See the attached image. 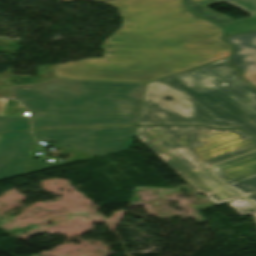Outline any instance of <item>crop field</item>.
I'll return each instance as SVG.
<instances>
[{"instance_id": "obj_7", "label": "crop field", "mask_w": 256, "mask_h": 256, "mask_svg": "<svg viewBox=\"0 0 256 256\" xmlns=\"http://www.w3.org/2000/svg\"><path fill=\"white\" fill-rule=\"evenodd\" d=\"M222 1L251 14L252 17L233 20L206 6ZM186 4L195 13L223 25L227 30L226 35L256 30V0H186Z\"/></svg>"}, {"instance_id": "obj_10", "label": "crop field", "mask_w": 256, "mask_h": 256, "mask_svg": "<svg viewBox=\"0 0 256 256\" xmlns=\"http://www.w3.org/2000/svg\"><path fill=\"white\" fill-rule=\"evenodd\" d=\"M14 99L8 100L4 116H0V132L7 130H27L29 128L28 113L19 107Z\"/></svg>"}, {"instance_id": "obj_9", "label": "crop field", "mask_w": 256, "mask_h": 256, "mask_svg": "<svg viewBox=\"0 0 256 256\" xmlns=\"http://www.w3.org/2000/svg\"><path fill=\"white\" fill-rule=\"evenodd\" d=\"M224 39L236 47L232 59L233 63L243 72L256 70V32L225 37Z\"/></svg>"}, {"instance_id": "obj_4", "label": "crop field", "mask_w": 256, "mask_h": 256, "mask_svg": "<svg viewBox=\"0 0 256 256\" xmlns=\"http://www.w3.org/2000/svg\"><path fill=\"white\" fill-rule=\"evenodd\" d=\"M135 137L214 205L241 197L215 178L208 166L255 150L256 138L240 129L204 126H137Z\"/></svg>"}, {"instance_id": "obj_5", "label": "crop field", "mask_w": 256, "mask_h": 256, "mask_svg": "<svg viewBox=\"0 0 256 256\" xmlns=\"http://www.w3.org/2000/svg\"><path fill=\"white\" fill-rule=\"evenodd\" d=\"M136 127H104L93 129H61L33 131L37 140H46L83 150L92 156H103L132 146Z\"/></svg>"}, {"instance_id": "obj_15", "label": "crop field", "mask_w": 256, "mask_h": 256, "mask_svg": "<svg viewBox=\"0 0 256 256\" xmlns=\"http://www.w3.org/2000/svg\"><path fill=\"white\" fill-rule=\"evenodd\" d=\"M251 202H253L256 205V194L246 197Z\"/></svg>"}, {"instance_id": "obj_3", "label": "crop field", "mask_w": 256, "mask_h": 256, "mask_svg": "<svg viewBox=\"0 0 256 256\" xmlns=\"http://www.w3.org/2000/svg\"><path fill=\"white\" fill-rule=\"evenodd\" d=\"M146 84L50 79L10 86L31 112L33 129L137 124Z\"/></svg>"}, {"instance_id": "obj_12", "label": "crop field", "mask_w": 256, "mask_h": 256, "mask_svg": "<svg viewBox=\"0 0 256 256\" xmlns=\"http://www.w3.org/2000/svg\"><path fill=\"white\" fill-rule=\"evenodd\" d=\"M228 204L240 215H253V221L256 222V207L252 204H250L247 200H245L243 197L233 200L231 202H228ZM249 210L254 211V213H250Z\"/></svg>"}, {"instance_id": "obj_13", "label": "crop field", "mask_w": 256, "mask_h": 256, "mask_svg": "<svg viewBox=\"0 0 256 256\" xmlns=\"http://www.w3.org/2000/svg\"><path fill=\"white\" fill-rule=\"evenodd\" d=\"M244 77L251 83L256 85V71L245 72Z\"/></svg>"}, {"instance_id": "obj_1", "label": "crop field", "mask_w": 256, "mask_h": 256, "mask_svg": "<svg viewBox=\"0 0 256 256\" xmlns=\"http://www.w3.org/2000/svg\"><path fill=\"white\" fill-rule=\"evenodd\" d=\"M124 25L101 46L102 59L54 66V78L147 83L230 55L218 25L182 0H109Z\"/></svg>"}, {"instance_id": "obj_8", "label": "crop field", "mask_w": 256, "mask_h": 256, "mask_svg": "<svg viewBox=\"0 0 256 256\" xmlns=\"http://www.w3.org/2000/svg\"><path fill=\"white\" fill-rule=\"evenodd\" d=\"M226 183L256 174V152L211 167Z\"/></svg>"}, {"instance_id": "obj_14", "label": "crop field", "mask_w": 256, "mask_h": 256, "mask_svg": "<svg viewBox=\"0 0 256 256\" xmlns=\"http://www.w3.org/2000/svg\"><path fill=\"white\" fill-rule=\"evenodd\" d=\"M7 99H0V115H3Z\"/></svg>"}, {"instance_id": "obj_2", "label": "crop field", "mask_w": 256, "mask_h": 256, "mask_svg": "<svg viewBox=\"0 0 256 256\" xmlns=\"http://www.w3.org/2000/svg\"><path fill=\"white\" fill-rule=\"evenodd\" d=\"M225 60L148 83L138 124L241 127L256 136V90Z\"/></svg>"}, {"instance_id": "obj_16", "label": "crop field", "mask_w": 256, "mask_h": 256, "mask_svg": "<svg viewBox=\"0 0 256 256\" xmlns=\"http://www.w3.org/2000/svg\"><path fill=\"white\" fill-rule=\"evenodd\" d=\"M32 256H41V255H32Z\"/></svg>"}, {"instance_id": "obj_11", "label": "crop field", "mask_w": 256, "mask_h": 256, "mask_svg": "<svg viewBox=\"0 0 256 256\" xmlns=\"http://www.w3.org/2000/svg\"><path fill=\"white\" fill-rule=\"evenodd\" d=\"M228 185L237 190L243 196L256 192V175L229 183Z\"/></svg>"}, {"instance_id": "obj_6", "label": "crop field", "mask_w": 256, "mask_h": 256, "mask_svg": "<svg viewBox=\"0 0 256 256\" xmlns=\"http://www.w3.org/2000/svg\"><path fill=\"white\" fill-rule=\"evenodd\" d=\"M35 151L43 149L31 137L30 132L1 133L0 180L65 165L60 161H54L50 165L44 164L43 160L35 155ZM32 155L37 156L40 161L32 160Z\"/></svg>"}]
</instances>
